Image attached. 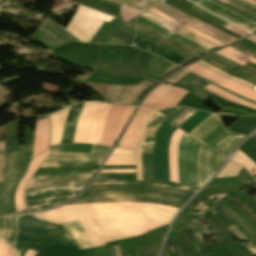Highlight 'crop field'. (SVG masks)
<instances>
[{
    "label": "crop field",
    "mask_w": 256,
    "mask_h": 256,
    "mask_svg": "<svg viewBox=\"0 0 256 256\" xmlns=\"http://www.w3.org/2000/svg\"><path fill=\"white\" fill-rule=\"evenodd\" d=\"M49 146V120H41L37 122L33 157L44 152ZM32 157V158H33Z\"/></svg>",
    "instance_id": "crop-field-22"
},
{
    "label": "crop field",
    "mask_w": 256,
    "mask_h": 256,
    "mask_svg": "<svg viewBox=\"0 0 256 256\" xmlns=\"http://www.w3.org/2000/svg\"><path fill=\"white\" fill-rule=\"evenodd\" d=\"M202 91H204L206 94H208L209 96H211L212 98H214L216 100V102L224 109L228 106H235V107H238V108H242V109H245V110H248V111H251V112H254L256 113L255 110L253 109H250V108H247V107H244V106H241V105H237V104H234V103H231V102H228L204 89H201Z\"/></svg>",
    "instance_id": "crop-field-43"
},
{
    "label": "crop field",
    "mask_w": 256,
    "mask_h": 256,
    "mask_svg": "<svg viewBox=\"0 0 256 256\" xmlns=\"http://www.w3.org/2000/svg\"><path fill=\"white\" fill-rule=\"evenodd\" d=\"M154 110L149 109L143 122L141 123L137 137H136V146H135V161H136V170H137V180H142L141 175V142H142V136L144 129L146 125L148 124Z\"/></svg>",
    "instance_id": "crop-field-27"
},
{
    "label": "crop field",
    "mask_w": 256,
    "mask_h": 256,
    "mask_svg": "<svg viewBox=\"0 0 256 256\" xmlns=\"http://www.w3.org/2000/svg\"><path fill=\"white\" fill-rule=\"evenodd\" d=\"M110 147L93 145L91 153L49 152L46 160H103Z\"/></svg>",
    "instance_id": "crop-field-16"
},
{
    "label": "crop field",
    "mask_w": 256,
    "mask_h": 256,
    "mask_svg": "<svg viewBox=\"0 0 256 256\" xmlns=\"http://www.w3.org/2000/svg\"><path fill=\"white\" fill-rule=\"evenodd\" d=\"M204 89H206V90H208V91H211V92H213V93H215V94L221 96L222 98H224V99H226V100H228V101H233V102H235V103H238V104L247 106V105H245V104H242V103H240V102H237V101H235V100H232L233 98H232V99H229V98H231V97H229V96H227V95H225V94H223V93H222V95L227 96V97H229V98L220 95L221 92H219V91H217V90H215V89H213V88H210V87H208V86L204 87ZM247 107H250V106H247ZM252 107H253V106H252ZM252 107H251V108H252ZM255 108H256V107H255ZM255 108H254V109H255Z\"/></svg>",
    "instance_id": "crop-field-48"
},
{
    "label": "crop field",
    "mask_w": 256,
    "mask_h": 256,
    "mask_svg": "<svg viewBox=\"0 0 256 256\" xmlns=\"http://www.w3.org/2000/svg\"><path fill=\"white\" fill-rule=\"evenodd\" d=\"M105 195H145L173 200L184 204L193 194L186 191L157 187L150 185L108 184L91 186L80 196L93 197ZM145 196H105L76 199L67 205L105 202V201H149L171 205L180 209L182 204ZM158 203L148 202H105L60 207L55 210L35 213L37 218L53 223L63 224L76 220L107 217V216H147L164 220L168 223L173 219L177 209ZM147 217H107L80 221L87 234L107 232H132L144 234L145 232L166 225L168 223ZM108 233L88 235L91 246L105 245V242L125 239L139 234Z\"/></svg>",
    "instance_id": "crop-field-1"
},
{
    "label": "crop field",
    "mask_w": 256,
    "mask_h": 256,
    "mask_svg": "<svg viewBox=\"0 0 256 256\" xmlns=\"http://www.w3.org/2000/svg\"><path fill=\"white\" fill-rule=\"evenodd\" d=\"M83 103L72 105L50 115L51 145L60 144L63 126L67 116L61 143H72L74 132L79 121ZM111 105L95 102H85L84 109L77 126L73 143L99 144L105 119Z\"/></svg>",
    "instance_id": "crop-field-2"
},
{
    "label": "crop field",
    "mask_w": 256,
    "mask_h": 256,
    "mask_svg": "<svg viewBox=\"0 0 256 256\" xmlns=\"http://www.w3.org/2000/svg\"><path fill=\"white\" fill-rule=\"evenodd\" d=\"M8 153H4V143H0V186L7 170Z\"/></svg>",
    "instance_id": "crop-field-42"
},
{
    "label": "crop field",
    "mask_w": 256,
    "mask_h": 256,
    "mask_svg": "<svg viewBox=\"0 0 256 256\" xmlns=\"http://www.w3.org/2000/svg\"><path fill=\"white\" fill-rule=\"evenodd\" d=\"M213 85H216V84L213 83ZM216 86H218V85H216ZM218 87H220V86H218ZM220 88H222V87H220ZM222 89H224V88H222ZM224 90H225V89H224ZM226 91H227V90H226ZM228 92H229V91H228ZM230 93H231V92H230ZM232 94H234V93H232ZM234 95H236V94H234ZM236 96H238V95H236ZM238 97H240V96H238ZM240 98L245 99V98H243V97H240ZM245 100H248V99H245ZM248 101H250V102L256 104V102H254V101H251V100H248Z\"/></svg>",
    "instance_id": "crop-field-58"
},
{
    "label": "crop field",
    "mask_w": 256,
    "mask_h": 256,
    "mask_svg": "<svg viewBox=\"0 0 256 256\" xmlns=\"http://www.w3.org/2000/svg\"><path fill=\"white\" fill-rule=\"evenodd\" d=\"M20 150L9 153L8 170L0 189V211L1 214L14 213V191L15 188L25 174L27 166L33 152V141L24 148L19 146Z\"/></svg>",
    "instance_id": "crop-field-4"
},
{
    "label": "crop field",
    "mask_w": 256,
    "mask_h": 256,
    "mask_svg": "<svg viewBox=\"0 0 256 256\" xmlns=\"http://www.w3.org/2000/svg\"><path fill=\"white\" fill-rule=\"evenodd\" d=\"M112 19L113 17L80 5L65 30L78 40L89 42L102 23Z\"/></svg>",
    "instance_id": "crop-field-6"
},
{
    "label": "crop field",
    "mask_w": 256,
    "mask_h": 256,
    "mask_svg": "<svg viewBox=\"0 0 256 256\" xmlns=\"http://www.w3.org/2000/svg\"><path fill=\"white\" fill-rule=\"evenodd\" d=\"M196 63L200 64L201 66H203V67H205V68H207V69H209V70H211V71H213V72H215V73H217V74H219V75H221L223 77L229 78V79H231V80H233V81H235V82H237V83H239V84H241L243 86H246V87L251 88V89L253 87V84L245 82V81L240 80V79H237V78H235V77H233V76H231V75H229L227 73H224L222 71H219V70L213 68L212 66L206 64L205 62H203L201 60L196 62Z\"/></svg>",
    "instance_id": "crop-field-40"
},
{
    "label": "crop field",
    "mask_w": 256,
    "mask_h": 256,
    "mask_svg": "<svg viewBox=\"0 0 256 256\" xmlns=\"http://www.w3.org/2000/svg\"><path fill=\"white\" fill-rule=\"evenodd\" d=\"M232 160L244 165L251 173L256 174V164H254L246 155H244L239 149L231 158Z\"/></svg>",
    "instance_id": "crop-field-36"
},
{
    "label": "crop field",
    "mask_w": 256,
    "mask_h": 256,
    "mask_svg": "<svg viewBox=\"0 0 256 256\" xmlns=\"http://www.w3.org/2000/svg\"><path fill=\"white\" fill-rule=\"evenodd\" d=\"M136 23L140 24V25H143V26H145L147 28H150V29H152L154 31L160 32L163 35H165V36H167V37H169V38H171V39H173V40H175V41H177V42H179V43H181V44L191 48L192 50H194V51H196L198 53L203 52V50H201V49H199V48H197V47H195V46H193V45H191V44H189V43H187V42H185V41H183V40H181V39H179L177 37H174V36H172V35H170L168 33H165L164 31H162V30H160V29H158V28H156V27H154V26H152L150 24H147V23H145V22H143L141 20L136 19Z\"/></svg>",
    "instance_id": "crop-field-37"
},
{
    "label": "crop field",
    "mask_w": 256,
    "mask_h": 256,
    "mask_svg": "<svg viewBox=\"0 0 256 256\" xmlns=\"http://www.w3.org/2000/svg\"><path fill=\"white\" fill-rule=\"evenodd\" d=\"M9 256H15V251L11 248Z\"/></svg>",
    "instance_id": "crop-field-61"
},
{
    "label": "crop field",
    "mask_w": 256,
    "mask_h": 256,
    "mask_svg": "<svg viewBox=\"0 0 256 256\" xmlns=\"http://www.w3.org/2000/svg\"><path fill=\"white\" fill-rule=\"evenodd\" d=\"M90 144H62L50 147L49 151L90 152Z\"/></svg>",
    "instance_id": "crop-field-29"
},
{
    "label": "crop field",
    "mask_w": 256,
    "mask_h": 256,
    "mask_svg": "<svg viewBox=\"0 0 256 256\" xmlns=\"http://www.w3.org/2000/svg\"><path fill=\"white\" fill-rule=\"evenodd\" d=\"M92 174H78L47 179L31 180L26 192L37 190H52L70 186L86 185Z\"/></svg>",
    "instance_id": "crop-field-12"
},
{
    "label": "crop field",
    "mask_w": 256,
    "mask_h": 256,
    "mask_svg": "<svg viewBox=\"0 0 256 256\" xmlns=\"http://www.w3.org/2000/svg\"><path fill=\"white\" fill-rule=\"evenodd\" d=\"M136 172L135 169H123V170H102L101 173H128Z\"/></svg>",
    "instance_id": "crop-field-50"
},
{
    "label": "crop field",
    "mask_w": 256,
    "mask_h": 256,
    "mask_svg": "<svg viewBox=\"0 0 256 256\" xmlns=\"http://www.w3.org/2000/svg\"><path fill=\"white\" fill-rule=\"evenodd\" d=\"M228 228H229L240 240L246 239L234 225H232V226H230V227H228Z\"/></svg>",
    "instance_id": "crop-field-51"
},
{
    "label": "crop field",
    "mask_w": 256,
    "mask_h": 256,
    "mask_svg": "<svg viewBox=\"0 0 256 256\" xmlns=\"http://www.w3.org/2000/svg\"><path fill=\"white\" fill-rule=\"evenodd\" d=\"M225 49L256 64V59L253 58V57H250V56H248V55H246V54H244V53H242V52H240V51H238L234 48H231V47H228V48H225Z\"/></svg>",
    "instance_id": "crop-field-45"
},
{
    "label": "crop field",
    "mask_w": 256,
    "mask_h": 256,
    "mask_svg": "<svg viewBox=\"0 0 256 256\" xmlns=\"http://www.w3.org/2000/svg\"><path fill=\"white\" fill-rule=\"evenodd\" d=\"M226 158L200 146L198 155V185L201 188L217 171Z\"/></svg>",
    "instance_id": "crop-field-13"
},
{
    "label": "crop field",
    "mask_w": 256,
    "mask_h": 256,
    "mask_svg": "<svg viewBox=\"0 0 256 256\" xmlns=\"http://www.w3.org/2000/svg\"><path fill=\"white\" fill-rule=\"evenodd\" d=\"M129 109H130V107H127V108H126V110H125V112H124V114H123V116H122V118H121L120 124H119L118 129H117L116 137H117V136L119 135V133H120L122 124H123V122H124V120H125V117H126L128 111H129ZM115 139H116V138H115Z\"/></svg>",
    "instance_id": "crop-field-52"
},
{
    "label": "crop field",
    "mask_w": 256,
    "mask_h": 256,
    "mask_svg": "<svg viewBox=\"0 0 256 256\" xmlns=\"http://www.w3.org/2000/svg\"><path fill=\"white\" fill-rule=\"evenodd\" d=\"M250 1H252V2L256 3V2H255V1H253V0H250Z\"/></svg>",
    "instance_id": "crop-field-65"
},
{
    "label": "crop field",
    "mask_w": 256,
    "mask_h": 256,
    "mask_svg": "<svg viewBox=\"0 0 256 256\" xmlns=\"http://www.w3.org/2000/svg\"><path fill=\"white\" fill-rule=\"evenodd\" d=\"M10 246L0 240V256H8Z\"/></svg>",
    "instance_id": "crop-field-49"
},
{
    "label": "crop field",
    "mask_w": 256,
    "mask_h": 256,
    "mask_svg": "<svg viewBox=\"0 0 256 256\" xmlns=\"http://www.w3.org/2000/svg\"><path fill=\"white\" fill-rule=\"evenodd\" d=\"M134 109H135L134 107H132V108H131V110H130V112H129V114H128V116H127L126 120H125L124 125H125V124H126V122L129 120V118H130L131 114L133 113ZM124 125H123V127H124ZM123 127H122V128H123Z\"/></svg>",
    "instance_id": "crop-field-55"
},
{
    "label": "crop field",
    "mask_w": 256,
    "mask_h": 256,
    "mask_svg": "<svg viewBox=\"0 0 256 256\" xmlns=\"http://www.w3.org/2000/svg\"><path fill=\"white\" fill-rule=\"evenodd\" d=\"M84 186L58 189L52 191H37L25 193V201L29 211L42 210L63 202L76 196Z\"/></svg>",
    "instance_id": "crop-field-8"
},
{
    "label": "crop field",
    "mask_w": 256,
    "mask_h": 256,
    "mask_svg": "<svg viewBox=\"0 0 256 256\" xmlns=\"http://www.w3.org/2000/svg\"><path fill=\"white\" fill-rule=\"evenodd\" d=\"M48 150L38 156H36L30 164V167L25 175V177L21 180L17 190H16V209L17 211H20L25 208V204L23 201V190L25 185L27 184L28 180L32 177L34 172L37 170V168L41 165V163L45 160L47 156Z\"/></svg>",
    "instance_id": "crop-field-20"
},
{
    "label": "crop field",
    "mask_w": 256,
    "mask_h": 256,
    "mask_svg": "<svg viewBox=\"0 0 256 256\" xmlns=\"http://www.w3.org/2000/svg\"><path fill=\"white\" fill-rule=\"evenodd\" d=\"M167 120L166 117L160 113H154L151 121L149 122L143 137L142 142V174L143 181H136V174H99L92 185L106 184V183H143L152 184L165 187H171L190 192H197L198 189L194 187L181 186L171 182L162 180H154V144L158 127Z\"/></svg>",
    "instance_id": "crop-field-3"
},
{
    "label": "crop field",
    "mask_w": 256,
    "mask_h": 256,
    "mask_svg": "<svg viewBox=\"0 0 256 256\" xmlns=\"http://www.w3.org/2000/svg\"><path fill=\"white\" fill-rule=\"evenodd\" d=\"M107 1L122 4L126 7H129V8L136 10L140 13L144 12L145 10L149 9L153 5L160 2L159 0H107ZM122 5H121V9H120V15L122 16L125 23L140 14V13L133 11L129 8H126Z\"/></svg>",
    "instance_id": "crop-field-17"
},
{
    "label": "crop field",
    "mask_w": 256,
    "mask_h": 256,
    "mask_svg": "<svg viewBox=\"0 0 256 256\" xmlns=\"http://www.w3.org/2000/svg\"><path fill=\"white\" fill-rule=\"evenodd\" d=\"M153 8H154V7H153ZM153 8L149 9L148 11H150V12H152V13H154V14H156V15H158V16H160V17L166 19V20H169V21L173 22L174 24H176V25H178V26H180V27H182V28H184V29H187V30H189V31H191V32H193V33H195V34H197V35L203 37V38H206L207 40H209V41H211V42H213V43H215V44H217V45H219V46L225 45V44H223V43H221V42H218V41H216V40H214V39H212V38L206 36L205 34L199 32V31H197V30H195V29H193V28H191V27H189V26H187V25H184V24L179 23L178 21H176V20H174V19H172V18H170V17H168V16L162 14L161 12H159V11L153 9Z\"/></svg>",
    "instance_id": "crop-field-32"
},
{
    "label": "crop field",
    "mask_w": 256,
    "mask_h": 256,
    "mask_svg": "<svg viewBox=\"0 0 256 256\" xmlns=\"http://www.w3.org/2000/svg\"><path fill=\"white\" fill-rule=\"evenodd\" d=\"M147 110L148 109H143V108L138 110L133 121L128 126V128L125 132L124 142H123L122 147L134 149L136 133H137L138 127H139L140 123L142 122Z\"/></svg>",
    "instance_id": "crop-field-25"
},
{
    "label": "crop field",
    "mask_w": 256,
    "mask_h": 256,
    "mask_svg": "<svg viewBox=\"0 0 256 256\" xmlns=\"http://www.w3.org/2000/svg\"><path fill=\"white\" fill-rule=\"evenodd\" d=\"M246 247L256 255V248L249 241Z\"/></svg>",
    "instance_id": "crop-field-54"
},
{
    "label": "crop field",
    "mask_w": 256,
    "mask_h": 256,
    "mask_svg": "<svg viewBox=\"0 0 256 256\" xmlns=\"http://www.w3.org/2000/svg\"><path fill=\"white\" fill-rule=\"evenodd\" d=\"M216 53H218V54H220V55L226 57L227 59H229V60H231V61H233V62H235V63H238V62H240V61L242 60V59L239 58L238 56H236V55H234V54H232V53H230V52H228V51H226V50H224V49H222V50H220V51H218V52H216ZM239 64L242 65V66H244V67H246V68H248V69H251V70H253V71H256V65L253 64V63H250V62H248V61H246V60H244V59H243L242 62L239 63Z\"/></svg>",
    "instance_id": "crop-field-38"
},
{
    "label": "crop field",
    "mask_w": 256,
    "mask_h": 256,
    "mask_svg": "<svg viewBox=\"0 0 256 256\" xmlns=\"http://www.w3.org/2000/svg\"><path fill=\"white\" fill-rule=\"evenodd\" d=\"M134 160V150L115 148L107 161H129Z\"/></svg>",
    "instance_id": "crop-field-33"
},
{
    "label": "crop field",
    "mask_w": 256,
    "mask_h": 256,
    "mask_svg": "<svg viewBox=\"0 0 256 256\" xmlns=\"http://www.w3.org/2000/svg\"><path fill=\"white\" fill-rule=\"evenodd\" d=\"M105 165H135V162H106Z\"/></svg>",
    "instance_id": "crop-field-53"
},
{
    "label": "crop field",
    "mask_w": 256,
    "mask_h": 256,
    "mask_svg": "<svg viewBox=\"0 0 256 256\" xmlns=\"http://www.w3.org/2000/svg\"><path fill=\"white\" fill-rule=\"evenodd\" d=\"M202 60L205 61L206 63L224 71V72H227V73L237 77V78H241L248 82L256 84V75L250 74V73H248L230 63H227V62L219 59V58H216L211 55Z\"/></svg>",
    "instance_id": "crop-field-19"
},
{
    "label": "crop field",
    "mask_w": 256,
    "mask_h": 256,
    "mask_svg": "<svg viewBox=\"0 0 256 256\" xmlns=\"http://www.w3.org/2000/svg\"><path fill=\"white\" fill-rule=\"evenodd\" d=\"M187 73H189V71L182 70V71L174 74L172 77H170L168 80H166V82L175 83L179 79H181L183 76H185Z\"/></svg>",
    "instance_id": "crop-field-47"
},
{
    "label": "crop field",
    "mask_w": 256,
    "mask_h": 256,
    "mask_svg": "<svg viewBox=\"0 0 256 256\" xmlns=\"http://www.w3.org/2000/svg\"><path fill=\"white\" fill-rule=\"evenodd\" d=\"M188 91L162 84L154 89L141 104V107L164 109L176 105Z\"/></svg>",
    "instance_id": "crop-field-11"
},
{
    "label": "crop field",
    "mask_w": 256,
    "mask_h": 256,
    "mask_svg": "<svg viewBox=\"0 0 256 256\" xmlns=\"http://www.w3.org/2000/svg\"><path fill=\"white\" fill-rule=\"evenodd\" d=\"M36 254V252L28 250V252L26 253L25 256H34Z\"/></svg>",
    "instance_id": "crop-field-57"
},
{
    "label": "crop field",
    "mask_w": 256,
    "mask_h": 256,
    "mask_svg": "<svg viewBox=\"0 0 256 256\" xmlns=\"http://www.w3.org/2000/svg\"><path fill=\"white\" fill-rule=\"evenodd\" d=\"M154 8L171 16L172 18H174L184 24H187V25L207 34L208 36H210L218 41L225 43V44H228V43L236 40L235 38L221 32L205 23H202V22L190 17L163 2L159 3Z\"/></svg>",
    "instance_id": "crop-field-10"
},
{
    "label": "crop field",
    "mask_w": 256,
    "mask_h": 256,
    "mask_svg": "<svg viewBox=\"0 0 256 256\" xmlns=\"http://www.w3.org/2000/svg\"><path fill=\"white\" fill-rule=\"evenodd\" d=\"M122 140H123V137H122L121 140H120V145H119V147H121V145H122Z\"/></svg>",
    "instance_id": "crop-field-63"
},
{
    "label": "crop field",
    "mask_w": 256,
    "mask_h": 256,
    "mask_svg": "<svg viewBox=\"0 0 256 256\" xmlns=\"http://www.w3.org/2000/svg\"><path fill=\"white\" fill-rule=\"evenodd\" d=\"M136 27H137L138 30H140V31H142V32H144V33H146V34H148L150 36L156 37V38H158V39H160L162 41H167L169 44H171V45H173V46H175V47H177V48H179V49H181V50H183V51H185V52H187V53H189L191 55L197 54L196 52L192 51L191 49H189V48H187V47H185V46H183L181 44H178V43H176V42H174V41H172V40H170V39H168V38H166L164 36H161V35L153 32V31H151V30H149V29H147L145 27L139 26L137 24H136Z\"/></svg>",
    "instance_id": "crop-field-35"
},
{
    "label": "crop field",
    "mask_w": 256,
    "mask_h": 256,
    "mask_svg": "<svg viewBox=\"0 0 256 256\" xmlns=\"http://www.w3.org/2000/svg\"><path fill=\"white\" fill-rule=\"evenodd\" d=\"M135 254H136V256H139V255H140L139 251H136Z\"/></svg>",
    "instance_id": "crop-field-64"
},
{
    "label": "crop field",
    "mask_w": 256,
    "mask_h": 256,
    "mask_svg": "<svg viewBox=\"0 0 256 256\" xmlns=\"http://www.w3.org/2000/svg\"><path fill=\"white\" fill-rule=\"evenodd\" d=\"M15 240L35 243L74 244L61 226L42 222L31 214L20 215Z\"/></svg>",
    "instance_id": "crop-field-5"
},
{
    "label": "crop field",
    "mask_w": 256,
    "mask_h": 256,
    "mask_svg": "<svg viewBox=\"0 0 256 256\" xmlns=\"http://www.w3.org/2000/svg\"><path fill=\"white\" fill-rule=\"evenodd\" d=\"M242 138L243 136L241 137L229 136L227 139H225L221 144H219L214 149L219 153L227 156L238 145V143L241 141Z\"/></svg>",
    "instance_id": "crop-field-30"
},
{
    "label": "crop field",
    "mask_w": 256,
    "mask_h": 256,
    "mask_svg": "<svg viewBox=\"0 0 256 256\" xmlns=\"http://www.w3.org/2000/svg\"><path fill=\"white\" fill-rule=\"evenodd\" d=\"M196 4H198L199 6H201L202 8L206 9L207 11L216 14L220 17H222L223 19L239 26V25H244L246 27H248L251 30H255L256 29V23L210 1V0H190ZM240 26L248 31L251 32V30L247 29L244 26Z\"/></svg>",
    "instance_id": "crop-field-15"
},
{
    "label": "crop field",
    "mask_w": 256,
    "mask_h": 256,
    "mask_svg": "<svg viewBox=\"0 0 256 256\" xmlns=\"http://www.w3.org/2000/svg\"><path fill=\"white\" fill-rule=\"evenodd\" d=\"M95 170H79V171H66L62 173H55V174H43L33 176L32 179L36 178H45V177H52V176H60V175H69V174H78V173H94Z\"/></svg>",
    "instance_id": "crop-field-44"
},
{
    "label": "crop field",
    "mask_w": 256,
    "mask_h": 256,
    "mask_svg": "<svg viewBox=\"0 0 256 256\" xmlns=\"http://www.w3.org/2000/svg\"><path fill=\"white\" fill-rule=\"evenodd\" d=\"M182 132L180 129L173 133L169 148L170 181L178 183L177 148Z\"/></svg>",
    "instance_id": "crop-field-24"
},
{
    "label": "crop field",
    "mask_w": 256,
    "mask_h": 256,
    "mask_svg": "<svg viewBox=\"0 0 256 256\" xmlns=\"http://www.w3.org/2000/svg\"><path fill=\"white\" fill-rule=\"evenodd\" d=\"M138 19H141V20H143V21H145V22H148V23H150V24H152V25H154V26H156V27H158V28H160V29H162V30H164V31H166V32H168V33H170V34H172V35H175V36H177V37H179V38H181V39H183V40H185V41H187V42H189V43H191V44H193V45H195V46H197V47H199V48H201V49H203V50H205V51H207V49H205V48H203V47L197 45L196 43H194V42H192V41H189V40H187V39H185V38H183V37H181V36H179V35H176V34L170 32V31H168V30H166V29H164V28H162V27H160V26H158V25H156V24H154V23H152V22H150V21H148V20H145V19H143V18H141V17H138Z\"/></svg>",
    "instance_id": "crop-field-46"
},
{
    "label": "crop field",
    "mask_w": 256,
    "mask_h": 256,
    "mask_svg": "<svg viewBox=\"0 0 256 256\" xmlns=\"http://www.w3.org/2000/svg\"><path fill=\"white\" fill-rule=\"evenodd\" d=\"M122 110H123V107H113V106L111 107L110 113H109V115L106 119V123H105V127H104V130H103V133H102V137H101V143L102 144L111 145V143L113 141L117 121H118V118H119ZM119 121H120V119H119ZM102 144H100V145H102Z\"/></svg>",
    "instance_id": "crop-field-23"
},
{
    "label": "crop field",
    "mask_w": 256,
    "mask_h": 256,
    "mask_svg": "<svg viewBox=\"0 0 256 256\" xmlns=\"http://www.w3.org/2000/svg\"><path fill=\"white\" fill-rule=\"evenodd\" d=\"M113 247H114L115 255L120 256L118 245H113Z\"/></svg>",
    "instance_id": "crop-field-56"
},
{
    "label": "crop field",
    "mask_w": 256,
    "mask_h": 256,
    "mask_svg": "<svg viewBox=\"0 0 256 256\" xmlns=\"http://www.w3.org/2000/svg\"><path fill=\"white\" fill-rule=\"evenodd\" d=\"M0 238L2 239V217H0Z\"/></svg>",
    "instance_id": "crop-field-59"
},
{
    "label": "crop field",
    "mask_w": 256,
    "mask_h": 256,
    "mask_svg": "<svg viewBox=\"0 0 256 256\" xmlns=\"http://www.w3.org/2000/svg\"><path fill=\"white\" fill-rule=\"evenodd\" d=\"M186 68L200 74L201 76L217 83L218 85H220V86H222L226 89H229L231 91H234V92H236L240 95H243L247 98H250V99L256 101V91L245 88V87H243V86H241V85H239V84H237V83H235L231 80L223 78V77H221V76H219V75L201 67L200 65H198L196 63H194V64H192V65H190Z\"/></svg>",
    "instance_id": "crop-field-14"
},
{
    "label": "crop field",
    "mask_w": 256,
    "mask_h": 256,
    "mask_svg": "<svg viewBox=\"0 0 256 256\" xmlns=\"http://www.w3.org/2000/svg\"><path fill=\"white\" fill-rule=\"evenodd\" d=\"M140 16H142V17H144V18H146V19H148V20H150V21H152V22H154V23L172 31V32H175V33H177V34H179V35H181V36H183L187 39H190V40L196 42L197 44L202 45V46H204L208 49H211V48L217 46V45H215V44H213V43H211V42H209V41H207V40H205L201 37H198V36L188 32V31L176 26V25H173V24H171V23H169V22H167V21H165V20L147 12V11L142 13Z\"/></svg>",
    "instance_id": "crop-field-18"
},
{
    "label": "crop field",
    "mask_w": 256,
    "mask_h": 256,
    "mask_svg": "<svg viewBox=\"0 0 256 256\" xmlns=\"http://www.w3.org/2000/svg\"><path fill=\"white\" fill-rule=\"evenodd\" d=\"M240 169V166L229 161L225 168L220 172V174L216 178L237 176Z\"/></svg>",
    "instance_id": "crop-field-41"
},
{
    "label": "crop field",
    "mask_w": 256,
    "mask_h": 256,
    "mask_svg": "<svg viewBox=\"0 0 256 256\" xmlns=\"http://www.w3.org/2000/svg\"><path fill=\"white\" fill-rule=\"evenodd\" d=\"M63 227L70 234V236L74 239V241L79 249H85V248L91 247L89 240H88L82 226L80 225L79 221L64 224Z\"/></svg>",
    "instance_id": "crop-field-26"
},
{
    "label": "crop field",
    "mask_w": 256,
    "mask_h": 256,
    "mask_svg": "<svg viewBox=\"0 0 256 256\" xmlns=\"http://www.w3.org/2000/svg\"><path fill=\"white\" fill-rule=\"evenodd\" d=\"M102 161H45L41 167H67L76 165H100Z\"/></svg>",
    "instance_id": "crop-field-31"
},
{
    "label": "crop field",
    "mask_w": 256,
    "mask_h": 256,
    "mask_svg": "<svg viewBox=\"0 0 256 256\" xmlns=\"http://www.w3.org/2000/svg\"><path fill=\"white\" fill-rule=\"evenodd\" d=\"M190 137L184 133L179 144V183L194 185L198 187L197 151L200 144Z\"/></svg>",
    "instance_id": "crop-field-7"
},
{
    "label": "crop field",
    "mask_w": 256,
    "mask_h": 256,
    "mask_svg": "<svg viewBox=\"0 0 256 256\" xmlns=\"http://www.w3.org/2000/svg\"><path fill=\"white\" fill-rule=\"evenodd\" d=\"M255 179H256V177H255Z\"/></svg>",
    "instance_id": "crop-field-66"
},
{
    "label": "crop field",
    "mask_w": 256,
    "mask_h": 256,
    "mask_svg": "<svg viewBox=\"0 0 256 256\" xmlns=\"http://www.w3.org/2000/svg\"><path fill=\"white\" fill-rule=\"evenodd\" d=\"M190 11H192V12H194V13H196V14H198V15H200V16H202V17H204V18H206V19H208V20H210V21L228 29V30L235 27V26L223 21L222 19H220V18H218V17H216V16L198 8L195 5L191 7Z\"/></svg>",
    "instance_id": "crop-field-34"
},
{
    "label": "crop field",
    "mask_w": 256,
    "mask_h": 256,
    "mask_svg": "<svg viewBox=\"0 0 256 256\" xmlns=\"http://www.w3.org/2000/svg\"><path fill=\"white\" fill-rule=\"evenodd\" d=\"M133 44L150 52V53H153L159 57L173 61L177 64H179L183 59H185L184 57H182L181 55H179L177 53L169 51L163 47L155 46V45L151 44L150 42H148L144 39H141L137 36L135 37Z\"/></svg>",
    "instance_id": "crop-field-21"
},
{
    "label": "crop field",
    "mask_w": 256,
    "mask_h": 256,
    "mask_svg": "<svg viewBox=\"0 0 256 256\" xmlns=\"http://www.w3.org/2000/svg\"><path fill=\"white\" fill-rule=\"evenodd\" d=\"M240 1H242V2H244V3H246V4H248V5H250V6L254 7V8H256V6H255V5H253V4H251V3H249V2H247V1H245V0H240Z\"/></svg>",
    "instance_id": "crop-field-60"
},
{
    "label": "crop field",
    "mask_w": 256,
    "mask_h": 256,
    "mask_svg": "<svg viewBox=\"0 0 256 256\" xmlns=\"http://www.w3.org/2000/svg\"><path fill=\"white\" fill-rule=\"evenodd\" d=\"M16 231L15 216L3 217V240L8 243H13Z\"/></svg>",
    "instance_id": "crop-field-28"
},
{
    "label": "crop field",
    "mask_w": 256,
    "mask_h": 256,
    "mask_svg": "<svg viewBox=\"0 0 256 256\" xmlns=\"http://www.w3.org/2000/svg\"><path fill=\"white\" fill-rule=\"evenodd\" d=\"M220 1L228 4V5L236 8V9H238V10H240V11H242V12H244V13L252 16V17H254V18H256V10L254 8L248 6V5L240 3V2H238L236 0H220Z\"/></svg>",
    "instance_id": "crop-field-39"
},
{
    "label": "crop field",
    "mask_w": 256,
    "mask_h": 256,
    "mask_svg": "<svg viewBox=\"0 0 256 256\" xmlns=\"http://www.w3.org/2000/svg\"><path fill=\"white\" fill-rule=\"evenodd\" d=\"M24 250L18 252V256H22Z\"/></svg>",
    "instance_id": "crop-field-62"
},
{
    "label": "crop field",
    "mask_w": 256,
    "mask_h": 256,
    "mask_svg": "<svg viewBox=\"0 0 256 256\" xmlns=\"http://www.w3.org/2000/svg\"><path fill=\"white\" fill-rule=\"evenodd\" d=\"M208 147H215L229 136L218 116L211 114L190 133Z\"/></svg>",
    "instance_id": "crop-field-9"
}]
</instances>
